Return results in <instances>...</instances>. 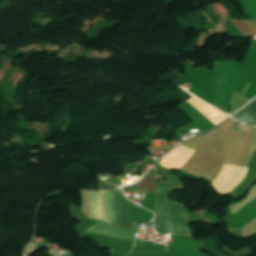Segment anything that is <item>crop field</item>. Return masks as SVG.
Returning <instances> with one entry per match:
<instances>
[{
    "mask_svg": "<svg viewBox=\"0 0 256 256\" xmlns=\"http://www.w3.org/2000/svg\"><path fill=\"white\" fill-rule=\"evenodd\" d=\"M158 184L154 220L155 227L174 234H190L187 213L183 205L168 201L169 195L185 187L181 181L162 182Z\"/></svg>",
    "mask_w": 256,
    "mask_h": 256,
    "instance_id": "8a807250",
    "label": "crop field"
},
{
    "mask_svg": "<svg viewBox=\"0 0 256 256\" xmlns=\"http://www.w3.org/2000/svg\"><path fill=\"white\" fill-rule=\"evenodd\" d=\"M111 223L122 227H132L127 201L121 190L110 191Z\"/></svg>",
    "mask_w": 256,
    "mask_h": 256,
    "instance_id": "ac0d7876",
    "label": "crop field"
},
{
    "mask_svg": "<svg viewBox=\"0 0 256 256\" xmlns=\"http://www.w3.org/2000/svg\"><path fill=\"white\" fill-rule=\"evenodd\" d=\"M234 117L251 125H256V99L242 111L235 114Z\"/></svg>",
    "mask_w": 256,
    "mask_h": 256,
    "instance_id": "34b2d1b8",
    "label": "crop field"
},
{
    "mask_svg": "<svg viewBox=\"0 0 256 256\" xmlns=\"http://www.w3.org/2000/svg\"><path fill=\"white\" fill-rule=\"evenodd\" d=\"M254 222H256V220L253 221V222H251V223H250L249 225H247L245 228L241 229V231H243L244 229H246L248 226H250V225L253 224Z\"/></svg>",
    "mask_w": 256,
    "mask_h": 256,
    "instance_id": "412701ff",
    "label": "crop field"
}]
</instances>
